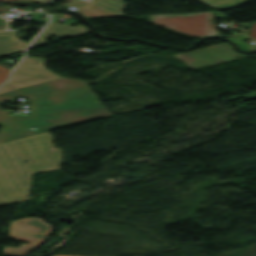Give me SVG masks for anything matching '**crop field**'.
<instances>
[{"mask_svg": "<svg viewBox=\"0 0 256 256\" xmlns=\"http://www.w3.org/2000/svg\"><path fill=\"white\" fill-rule=\"evenodd\" d=\"M88 83L59 78L0 94V103L12 102L18 95L27 97L31 111L30 117H19L9 116L8 110H0V125H3L0 142L111 116L97 101Z\"/></svg>", "mask_w": 256, "mask_h": 256, "instance_id": "1", "label": "crop field"}, {"mask_svg": "<svg viewBox=\"0 0 256 256\" xmlns=\"http://www.w3.org/2000/svg\"><path fill=\"white\" fill-rule=\"evenodd\" d=\"M22 159L28 162L23 163ZM50 131L0 144V204L28 199L31 173L59 168Z\"/></svg>", "mask_w": 256, "mask_h": 256, "instance_id": "2", "label": "crop field"}, {"mask_svg": "<svg viewBox=\"0 0 256 256\" xmlns=\"http://www.w3.org/2000/svg\"><path fill=\"white\" fill-rule=\"evenodd\" d=\"M149 17L152 23L195 37L217 35L212 11Z\"/></svg>", "mask_w": 256, "mask_h": 256, "instance_id": "3", "label": "crop field"}, {"mask_svg": "<svg viewBox=\"0 0 256 256\" xmlns=\"http://www.w3.org/2000/svg\"><path fill=\"white\" fill-rule=\"evenodd\" d=\"M21 220L22 222L16 220L11 223V239L28 241L31 244H22L19 248L5 247V255L24 256L46 241L51 232V226L39 218L27 217Z\"/></svg>", "mask_w": 256, "mask_h": 256, "instance_id": "4", "label": "crop field"}, {"mask_svg": "<svg viewBox=\"0 0 256 256\" xmlns=\"http://www.w3.org/2000/svg\"><path fill=\"white\" fill-rule=\"evenodd\" d=\"M43 59L26 56L14 69L10 79L0 88V93L59 78L43 68Z\"/></svg>", "mask_w": 256, "mask_h": 256, "instance_id": "5", "label": "crop field"}, {"mask_svg": "<svg viewBox=\"0 0 256 256\" xmlns=\"http://www.w3.org/2000/svg\"><path fill=\"white\" fill-rule=\"evenodd\" d=\"M126 5L120 0H93L87 3L82 0H76L68 4L65 8L70 6L78 8L75 12L82 14L86 18L96 17H115L123 16L122 11L126 9Z\"/></svg>", "mask_w": 256, "mask_h": 256, "instance_id": "6", "label": "crop field"}, {"mask_svg": "<svg viewBox=\"0 0 256 256\" xmlns=\"http://www.w3.org/2000/svg\"><path fill=\"white\" fill-rule=\"evenodd\" d=\"M89 30L82 25L70 27L56 22H50L44 32H42L31 44L29 48L46 45L44 38L51 34L57 37H76L81 34L88 33Z\"/></svg>", "mask_w": 256, "mask_h": 256, "instance_id": "7", "label": "crop field"}, {"mask_svg": "<svg viewBox=\"0 0 256 256\" xmlns=\"http://www.w3.org/2000/svg\"><path fill=\"white\" fill-rule=\"evenodd\" d=\"M20 30L0 31V56L8 55L25 49L28 43L19 40L16 34Z\"/></svg>", "mask_w": 256, "mask_h": 256, "instance_id": "8", "label": "crop field"}, {"mask_svg": "<svg viewBox=\"0 0 256 256\" xmlns=\"http://www.w3.org/2000/svg\"><path fill=\"white\" fill-rule=\"evenodd\" d=\"M244 56H246V55L240 54L234 50L231 52H226V53L210 56L207 59L187 63L186 65L189 66L191 69H195L198 67H202V66H206V65H210V64H214V63H218V62L241 58Z\"/></svg>", "mask_w": 256, "mask_h": 256, "instance_id": "9", "label": "crop field"}, {"mask_svg": "<svg viewBox=\"0 0 256 256\" xmlns=\"http://www.w3.org/2000/svg\"><path fill=\"white\" fill-rule=\"evenodd\" d=\"M230 50H233L232 47L230 45H226V46H222V47H218V48H214V49H210V50H206V51H202V52H198V53H194L186 56H180L179 58H181L186 63V62L206 58L210 55H214V54H218V53H222Z\"/></svg>", "mask_w": 256, "mask_h": 256, "instance_id": "10", "label": "crop field"}, {"mask_svg": "<svg viewBox=\"0 0 256 256\" xmlns=\"http://www.w3.org/2000/svg\"><path fill=\"white\" fill-rule=\"evenodd\" d=\"M205 4L220 10H227L236 6H239L245 2L246 0H200Z\"/></svg>", "mask_w": 256, "mask_h": 256, "instance_id": "11", "label": "crop field"}, {"mask_svg": "<svg viewBox=\"0 0 256 256\" xmlns=\"http://www.w3.org/2000/svg\"><path fill=\"white\" fill-rule=\"evenodd\" d=\"M9 71V69L0 65V84L6 79Z\"/></svg>", "mask_w": 256, "mask_h": 256, "instance_id": "12", "label": "crop field"}, {"mask_svg": "<svg viewBox=\"0 0 256 256\" xmlns=\"http://www.w3.org/2000/svg\"><path fill=\"white\" fill-rule=\"evenodd\" d=\"M8 9V6H0V10L2 11H7ZM0 29H5V19L0 18Z\"/></svg>", "mask_w": 256, "mask_h": 256, "instance_id": "13", "label": "crop field"}, {"mask_svg": "<svg viewBox=\"0 0 256 256\" xmlns=\"http://www.w3.org/2000/svg\"><path fill=\"white\" fill-rule=\"evenodd\" d=\"M248 35L256 39V22H253V23H252Z\"/></svg>", "mask_w": 256, "mask_h": 256, "instance_id": "14", "label": "crop field"}, {"mask_svg": "<svg viewBox=\"0 0 256 256\" xmlns=\"http://www.w3.org/2000/svg\"><path fill=\"white\" fill-rule=\"evenodd\" d=\"M226 44H228V43L221 44V45H216V46H212V47H208V48H203V49H199V50H195V51H190V52L178 54V55H176V56L186 55V54H190V53H194V52H198V51H202V50H206V49H210V48H214V47H218V46H222V45H226Z\"/></svg>", "mask_w": 256, "mask_h": 256, "instance_id": "15", "label": "crop field"}, {"mask_svg": "<svg viewBox=\"0 0 256 256\" xmlns=\"http://www.w3.org/2000/svg\"><path fill=\"white\" fill-rule=\"evenodd\" d=\"M0 1H4V2H14V1H17V0H0ZM28 1L36 2V3H41V4H44V3H45V2H41V1H37V0H28ZM46 1H49V0H46Z\"/></svg>", "mask_w": 256, "mask_h": 256, "instance_id": "16", "label": "crop field"}, {"mask_svg": "<svg viewBox=\"0 0 256 256\" xmlns=\"http://www.w3.org/2000/svg\"><path fill=\"white\" fill-rule=\"evenodd\" d=\"M55 256H64V255H55Z\"/></svg>", "mask_w": 256, "mask_h": 256, "instance_id": "17", "label": "crop field"}]
</instances>
